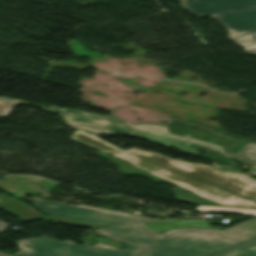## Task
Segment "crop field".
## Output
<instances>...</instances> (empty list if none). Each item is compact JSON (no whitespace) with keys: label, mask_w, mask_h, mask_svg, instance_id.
Returning a JSON list of instances; mask_svg holds the SVG:
<instances>
[{"label":"crop field","mask_w":256,"mask_h":256,"mask_svg":"<svg viewBox=\"0 0 256 256\" xmlns=\"http://www.w3.org/2000/svg\"><path fill=\"white\" fill-rule=\"evenodd\" d=\"M0 210L12 214L21 221L43 216L27 204L13 198H9L2 193L0 194Z\"/></svg>","instance_id":"obj_8"},{"label":"crop field","mask_w":256,"mask_h":256,"mask_svg":"<svg viewBox=\"0 0 256 256\" xmlns=\"http://www.w3.org/2000/svg\"><path fill=\"white\" fill-rule=\"evenodd\" d=\"M181 6L192 15L211 16L230 34L247 33L231 38L237 44L256 38V0H192Z\"/></svg>","instance_id":"obj_3"},{"label":"crop field","mask_w":256,"mask_h":256,"mask_svg":"<svg viewBox=\"0 0 256 256\" xmlns=\"http://www.w3.org/2000/svg\"><path fill=\"white\" fill-rule=\"evenodd\" d=\"M168 223L178 226L180 228H183L185 226H192V227H200V228L223 229V228L209 227V221L177 220V221H168Z\"/></svg>","instance_id":"obj_11"},{"label":"crop field","mask_w":256,"mask_h":256,"mask_svg":"<svg viewBox=\"0 0 256 256\" xmlns=\"http://www.w3.org/2000/svg\"><path fill=\"white\" fill-rule=\"evenodd\" d=\"M15 103L21 104V101L0 98V116H7Z\"/></svg>","instance_id":"obj_12"},{"label":"crop field","mask_w":256,"mask_h":256,"mask_svg":"<svg viewBox=\"0 0 256 256\" xmlns=\"http://www.w3.org/2000/svg\"><path fill=\"white\" fill-rule=\"evenodd\" d=\"M245 34H233L230 36L231 37H243Z\"/></svg>","instance_id":"obj_17"},{"label":"crop field","mask_w":256,"mask_h":256,"mask_svg":"<svg viewBox=\"0 0 256 256\" xmlns=\"http://www.w3.org/2000/svg\"><path fill=\"white\" fill-rule=\"evenodd\" d=\"M50 109L62 112L67 123L74 127L105 135L123 134L143 138L132 129L110 116L56 106H50Z\"/></svg>","instance_id":"obj_6"},{"label":"crop field","mask_w":256,"mask_h":256,"mask_svg":"<svg viewBox=\"0 0 256 256\" xmlns=\"http://www.w3.org/2000/svg\"><path fill=\"white\" fill-rule=\"evenodd\" d=\"M224 256H256V243Z\"/></svg>","instance_id":"obj_13"},{"label":"crop field","mask_w":256,"mask_h":256,"mask_svg":"<svg viewBox=\"0 0 256 256\" xmlns=\"http://www.w3.org/2000/svg\"><path fill=\"white\" fill-rule=\"evenodd\" d=\"M31 204L49 216L71 219L103 226L129 224L156 220L149 217H134L129 214L114 212L82 205L68 204L44 198L31 197Z\"/></svg>","instance_id":"obj_5"},{"label":"crop field","mask_w":256,"mask_h":256,"mask_svg":"<svg viewBox=\"0 0 256 256\" xmlns=\"http://www.w3.org/2000/svg\"><path fill=\"white\" fill-rule=\"evenodd\" d=\"M222 155L233 160L249 162V174L256 176V144L246 143L244 148L237 155L226 152Z\"/></svg>","instance_id":"obj_9"},{"label":"crop field","mask_w":256,"mask_h":256,"mask_svg":"<svg viewBox=\"0 0 256 256\" xmlns=\"http://www.w3.org/2000/svg\"><path fill=\"white\" fill-rule=\"evenodd\" d=\"M127 126L132 128L134 131L142 135L144 138L150 140L151 142L159 145H170L178 148L179 150L185 153H198L194 151L193 148H190L191 145H196L205 149H209L218 153H223L221 147L211 145L199 140L190 139L191 135L185 134L183 137L169 134L167 132V127L163 125H132L130 123H125ZM185 145V147L181 146Z\"/></svg>","instance_id":"obj_7"},{"label":"crop field","mask_w":256,"mask_h":256,"mask_svg":"<svg viewBox=\"0 0 256 256\" xmlns=\"http://www.w3.org/2000/svg\"><path fill=\"white\" fill-rule=\"evenodd\" d=\"M197 211H222L231 212L247 215H256V210H245V209H233V208H222V207H212V206H199L196 208Z\"/></svg>","instance_id":"obj_10"},{"label":"crop field","mask_w":256,"mask_h":256,"mask_svg":"<svg viewBox=\"0 0 256 256\" xmlns=\"http://www.w3.org/2000/svg\"><path fill=\"white\" fill-rule=\"evenodd\" d=\"M70 138L115 155L132 163L140 171L178 186L173 191L176 192L175 198L181 201L197 205L256 209V181L243 174L222 172L203 164L186 163L136 148L120 151L95 134L90 135L80 130H76Z\"/></svg>","instance_id":"obj_1"},{"label":"crop field","mask_w":256,"mask_h":256,"mask_svg":"<svg viewBox=\"0 0 256 256\" xmlns=\"http://www.w3.org/2000/svg\"><path fill=\"white\" fill-rule=\"evenodd\" d=\"M42 219H48V220H54V221L72 223V224H77V225H82V226H88V227H101V226H95V225L84 224V223H78V222L67 221V220L56 219V218H50V217H46V218H42Z\"/></svg>","instance_id":"obj_14"},{"label":"crop field","mask_w":256,"mask_h":256,"mask_svg":"<svg viewBox=\"0 0 256 256\" xmlns=\"http://www.w3.org/2000/svg\"><path fill=\"white\" fill-rule=\"evenodd\" d=\"M17 246L20 251L14 256H163L142 249L121 251L117 247L101 243L92 247L70 240L61 242L47 236L19 240Z\"/></svg>","instance_id":"obj_4"},{"label":"crop field","mask_w":256,"mask_h":256,"mask_svg":"<svg viewBox=\"0 0 256 256\" xmlns=\"http://www.w3.org/2000/svg\"><path fill=\"white\" fill-rule=\"evenodd\" d=\"M10 225L0 222V233L6 230Z\"/></svg>","instance_id":"obj_15"},{"label":"crop field","mask_w":256,"mask_h":256,"mask_svg":"<svg viewBox=\"0 0 256 256\" xmlns=\"http://www.w3.org/2000/svg\"><path fill=\"white\" fill-rule=\"evenodd\" d=\"M248 44H251V45H256V39L255 40H252V41H249V42H246ZM242 44H245V43H242ZM241 45V44H239Z\"/></svg>","instance_id":"obj_16"},{"label":"crop field","mask_w":256,"mask_h":256,"mask_svg":"<svg viewBox=\"0 0 256 256\" xmlns=\"http://www.w3.org/2000/svg\"><path fill=\"white\" fill-rule=\"evenodd\" d=\"M145 223L95 230L114 241L128 242L136 248L166 256H219L256 241V219L225 231L185 228ZM155 229H149V227ZM162 231L163 234L157 232ZM221 234V236H218Z\"/></svg>","instance_id":"obj_2"}]
</instances>
